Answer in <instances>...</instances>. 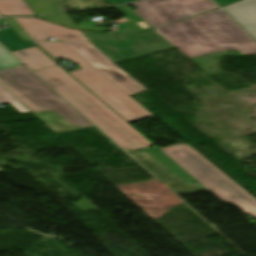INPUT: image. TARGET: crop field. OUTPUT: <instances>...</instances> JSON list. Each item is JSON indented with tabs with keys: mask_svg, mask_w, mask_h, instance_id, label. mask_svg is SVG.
<instances>
[{
	"mask_svg": "<svg viewBox=\"0 0 256 256\" xmlns=\"http://www.w3.org/2000/svg\"><path fill=\"white\" fill-rule=\"evenodd\" d=\"M188 58L236 49L256 54V43L221 9L156 29Z\"/></svg>",
	"mask_w": 256,
	"mask_h": 256,
	"instance_id": "crop-field-1",
	"label": "crop field"
},
{
	"mask_svg": "<svg viewBox=\"0 0 256 256\" xmlns=\"http://www.w3.org/2000/svg\"><path fill=\"white\" fill-rule=\"evenodd\" d=\"M36 73L123 148L152 145L58 66Z\"/></svg>",
	"mask_w": 256,
	"mask_h": 256,
	"instance_id": "crop-field-2",
	"label": "crop field"
},
{
	"mask_svg": "<svg viewBox=\"0 0 256 256\" xmlns=\"http://www.w3.org/2000/svg\"><path fill=\"white\" fill-rule=\"evenodd\" d=\"M26 68L0 70V85L30 112L53 110L71 126H93Z\"/></svg>",
	"mask_w": 256,
	"mask_h": 256,
	"instance_id": "crop-field-3",
	"label": "crop field"
},
{
	"mask_svg": "<svg viewBox=\"0 0 256 256\" xmlns=\"http://www.w3.org/2000/svg\"><path fill=\"white\" fill-rule=\"evenodd\" d=\"M160 150L221 201L234 204L244 213L256 217V199L188 144L173 145Z\"/></svg>",
	"mask_w": 256,
	"mask_h": 256,
	"instance_id": "crop-field-4",
	"label": "crop field"
},
{
	"mask_svg": "<svg viewBox=\"0 0 256 256\" xmlns=\"http://www.w3.org/2000/svg\"><path fill=\"white\" fill-rule=\"evenodd\" d=\"M37 43L55 58L71 60L79 65L82 69L69 73L129 122L152 116L128 94H126L94 67H92L79 55L73 52L70 48L64 45L65 43Z\"/></svg>",
	"mask_w": 256,
	"mask_h": 256,
	"instance_id": "crop-field-5",
	"label": "crop field"
},
{
	"mask_svg": "<svg viewBox=\"0 0 256 256\" xmlns=\"http://www.w3.org/2000/svg\"><path fill=\"white\" fill-rule=\"evenodd\" d=\"M135 10L152 27L217 8L210 0H142Z\"/></svg>",
	"mask_w": 256,
	"mask_h": 256,
	"instance_id": "crop-field-6",
	"label": "crop field"
},
{
	"mask_svg": "<svg viewBox=\"0 0 256 256\" xmlns=\"http://www.w3.org/2000/svg\"><path fill=\"white\" fill-rule=\"evenodd\" d=\"M129 95L145 90L88 41L63 42Z\"/></svg>",
	"mask_w": 256,
	"mask_h": 256,
	"instance_id": "crop-field-7",
	"label": "crop field"
},
{
	"mask_svg": "<svg viewBox=\"0 0 256 256\" xmlns=\"http://www.w3.org/2000/svg\"><path fill=\"white\" fill-rule=\"evenodd\" d=\"M16 19L33 40H46L51 37L63 41L87 40L78 30H71L37 19Z\"/></svg>",
	"mask_w": 256,
	"mask_h": 256,
	"instance_id": "crop-field-8",
	"label": "crop field"
},
{
	"mask_svg": "<svg viewBox=\"0 0 256 256\" xmlns=\"http://www.w3.org/2000/svg\"><path fill=\"white\" fill-rule=\"evenodd\" d=\"M223 9L256 39V0H244Z\"/></svg>",
	"mask_w": 256,
	"mask_h": 256,
	"instance_id": "crop-field-9",
	"label": "crop field"
},
{
	"mask_svg": "<svg viewBox=\"0 0 256 256\" xmlns=\"http://www.w3.org/2000/svg\"><path fill=\"white\" fill-rule=\"evenodd\" d=\"M13 54L32 70L55 64L36 47L14 52Z\"/></svg>",
	"mask_w": 256,
	"mask_h": 256,
	"instance_id": "crop-field-10",
	"label": "crop field"
},
{
	"mask_svg": "<svg viewBox=\"0 0 256 256\" xmlns=\"http://www.w3.org/2000/svg\"><path fill=\"white\" fill-rule=\"evenodd\" d=\"M145 151L158 160L162 165H164L169 171H171L175 176L181 177L188 183L196 181L189 174H187L182 168H180L176 163H174L170 158L163 154L157 147L144 148Z\"/></svg>",
	"mask_w": 256,
	"mask_h": 256,
	"instance_id": "crop-field-11",
	"label": "crop field"
},
{
	"mask_svg": "<svg viewBox=\"0 0 256 256\" xmlns=\"http://www.w3.org/2000/svg\"><path fill=\"white\" fill-rule=\"evenodd\" d=\"M1 15H34L23 0H0Z\"/></svg>",
	"mask_w": 256,
	"mask_h": 256,
	"instance_id": "crop-field-12",
	"label": "crop field"
},
{
	"mask_svg": "<svg viewBox=\"0 0 256 256\" xmlns=\"http://www.w3.org/2000/svg\"><path fill=\"white\" fill-rule=\"evenodd\" d=\"M0 42L11 52L33 47L30 42H22L12 29L0 31Z\"/></svg>",
	"mask_w": 256,
	"mask_h": 256,
	"instance_id": "crop-field-13",
	"label": "crop field"
},
{
	"mask_svg": "<svg viewBox=\"0 0 256 256\" xmlns=\"http://www.w3.org/2000/svg\"><path fill=\"white\" fill-rule=\"evenodd\" d=\"M36 14L63 10L55 0H26Z\"/></svg>",
	"mask_w": 256,
	"mask_h": 256,
	"instance_id": "crop-field-14",
	"label": "crop field"
},
{
	"mask_svg": "<svg viewBox=\"0 0 256 256\" xmlns=\"http://www.w3.org/2000/svg\"><path fill=\"white\" fill-rule=\"evenodd\" d=\"M37 18H41V19L52 21V22H56V23H59L61 25L67 26L69 28H76V26L73 24V22L70 20V18L65 13L51 14V15H41Z\"/></svg>",
	"mask_w": 256,
	"mask_h": 256,
	"instance_id": "crop-field-15",
	"label": "crop field"
},
{
	"mask_svg": "<svg viewBox=\"0 0 256 256\" xmlns=\"http://www.w3.org/2000/svg\"><path fill=\"white\" fill-rule=\"evenodd\" d=\"M17 65L22 64L0 45V69Z\"/></svg>",
	"mask_w": 256,
	"mask_h": 256,
	"instance_id": "crop-field-16",
	"label": "crop field"
},
{
	"mask_svg": "<svg viewBox=\"0 0 256 256\" xmlns=\"http://www.w3.org/2000/svg\"><path fill=\"white\" fill-rule=\"evenodd\" d=\"M0 103H11L20 113L29 112L1 87H0Z\"/></svg>",
	"mask_w": 256,
	"mask_h": 256,
	"instance_id": "crop-field-17",
	"label": "crop field"
},
{
	"mask_svg": "<svg viewBox=\"0 0 256 256\" xmlns=\"http://www.w3.org/2000/svg\"><path fill=\"white\" fill-rule=\"evenodd\" d=\"M5 19L10 24V26L14 29V31L17 33V35L20 37L21 40L32 41L26 36V34L18 26L14 18H5Z\"/></svg>",
	"mask_w": 256,
	"mask_h": 256,
	"instance_id": "crop-field-18",
	"label": "crop field"
},
{
	"mask_svg": "<svg viewBox=\"0 0 256 256\" xmlns=\"http://www.w3.org/2000/svg\"><path fill=\"white\" fill-rule=\"evenodd\" d=\"M104 1H106L109 4L115 6V5H119V4H122L124 2L132 1V0H104Z\"/></svg>",
	"mask_w": 256,
	"mask_h": 256,
	"instance_id": "crop-field-19",
	"label": "crop field"
},
{
	"mask_svg": "<svg viewBox=\"0 0 256 256\" xmlns=\"http://www.w3.org/2000/svg\"><path fill=\"white\" fill-rule=\"evenodd\" d=\"M220 6L231 3L236 0H215Z\"/></svg>",
	"mask_w": 256,
	"mask_h": 256,
	"instance_id": "crop-field-20",
	"label": "crop field"
},
{
	"mask_svg": "<svg viewBox=\"0 0 256 256\" xmlns=\"http://www.w3.org/2000/svg\"><path fill=\"white\" fill-rule=\"evenodd\" d=\"M35 44V43H34ZM36 45V44H35ZM38 46V45H37ZM39 47V46H38ZM40 48V47H39ZM41 49V48H40ZM42 50V49H41ZM44 51V50H43ZM45 52V51H44ZM46 53V52H45ZM47 54V53H46ZM50 58H52L55 62H57V60H55L53 57H51L49 54H47Z\"/></svg>",
	"mask_w": 256,
	"mask_h": 256,
	"instance_id": "crop-field-21",
	"label": "crop field"
},
{
	"mask_svg": "<svg viewBox=\"0 0 256 256\" xmlns=\"http://www.w3.org/2000/svg\"><path fill=\"white\" fill-rule=\"evenodd\" d=\"M2 170H4V169L0 168V171H2Z\"/></svg>",
	"mask_w": 256,
	"mask_h": 256,
	"instance_id": "crop-field-22",
	"label": "crop field"
}]
</instances>
